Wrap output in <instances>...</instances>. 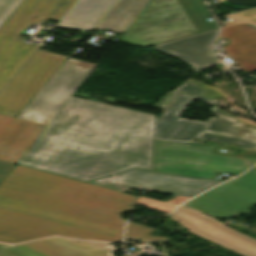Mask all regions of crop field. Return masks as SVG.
I'll use <instances>...</instances> for the list:
<instances>
[{"mask_svg":"<svg viewBox=\"0 0 256 256\" xmlns=\"http://www.w3.org/2000/svg\"><path fill=\"white\" fill-rule=\"evenodd\" d=\"M96 66L69 58L17 118L0 115V159L16 164Z\"/></svg>","mask_w":256,"mask_h":256,"instance_id":"crop-field-3","label":"crop field"},{"mask_svg":"<svg viewBox=\"0 0 256 256\" xmlns=\"http://www.w3.org/2000/svg\"><path fill=\"white\" fill-rule=\"evenodd\" d=\"M76 1L25 0L0 29V35L19 38L20 32L28 29L32 23L43 24L48 19L60 21Z\"/></svg>","mask_w":256,"mask_h":256,"instance_id":"crop-field-13","label":"crop field"},{"mask_svg":"<svg viewBox=\"0 0 256 256\" xmlns=\"http://www.w3.org/2000/svg\"><path fill=\"white\" fill-rule=\"evenodd\" d=\"M218 150L219 149L216 148L214 153H216V154H223V155H229V156L242 157V158H256V152L241 150L239 155H236V154L220 153V152H218Z\"/></svg>","mask_w":256,"mask_h":256,"instance_id":"crop-field-22","label":"crop field"},{"mask_svg":"<svg viewBox=\"0 0 256 256\" xmlns=\"http://www.w3.org/2000/svg\"><path fill=\"white\" fill-rule=\"evenodd\" d=\"M153 230L135 223H128L125 239L168 242L169 238L151 236Z\"/></svg>","mask_w":256,"mask_h":256,"instance_id":"crop-field-19","label":"crop field"},{"mask_svg":"<svg viewBox=\"0 0 256 256\" xmlns=\"http://www.w3.org/2000/svg\"><path fill=\"white\" fill-rule=\"evenodd\" d=\"M36 47L0 36V114L15 117L66 58Z\"/></svg>","mask_w":256,"mask_h":256,"instance_id":"crop-field-5","label":"crop field"},{"mask_svg":"<svg viewBox=\"0 0 256 256\" xmlns=\"http://www.w3.org/2000/svg\"><path fill=\"white\" fill-rule=\"evenodd\" d=\"M193 100L173 90L157 103L163 114L156 121L155 139L188 143L205 139L256 150V122L231 116L217 106L210 111L221 119L209 118L207 123L177 119Z\"/></svg>","mask_w":256,"mask_h":256,"instance_id":"crop-field-4","label":"crop field"},{"mask_svg":"<svg viewBox=\"0 0 256 256\" xmlns=\"http://www.w3.org/2000/svg\"><path fill=\"white\" fill-rule=\"evenodd\" d=\"M175 90L185 93L194 98L203 100L209 104H213L221 97L226 96V94H224L219 89L207 86L197 81H188L187 83L176 88Z\"/></svg>","mask_w":256,"mask_h":256,"instance_id":"crop-field-18","label":"crop field"},{"mask_svg":"<svg viewBox=\"0 0 256 256\" xmlns=\"http://www.w3.org/2000/svg\"><path fill=\"white\" fill-rule=\"evenodd\" d=\"M115 0H81L59 27L89 32Z\"/></svg>","mask_w":256,"mask_h":256,"instance_id":"crop-field-15","label":"crop field"},{"mask_svg":"<svg viewBox=\"0 0 256 256\" xmlns=\"http://www.w3.org/2000/svg\"><path fill=\"white\" fill-rule=\"evenodd\" d=\"M137 197L15 166L0 185V241L59 235L119 241Z\"/></svg>","mask_w":256,"mask_h":256,"instance_id":"crop-field-2","label":"crop field"},{"mask_svg":"<svg viewBox=\"0 0 256 256\" xmlns=\"http://www.w3.org/2000/svg\"><path fill=\"white\" fill-rule=\"evenodd\" d=\"M24 0H0V28Z\"/></svg>","mask_w":256,"mask_h":256,"instance_id":"crop-field-20","label":"crop field"},{"mask_svg":"<svg viewBox=\"0 0 256 256\" xmlns=\"http://www.w3.org/2000/svg\"><path fill=\"white\" fill-rule=\"evenodd\" d=\"M116 185L192 197L221 181L133 168L116 175Z\"/></svg>","mask_w":256,"mask_h":256,"instance_id":"crop-field-9","label":"crop field"},{"mask_svg":"<svg viewBox=\"0 0 256 256\" xmlns=\"http://www.w3.org/2000/svg\"><path fill=\"white\" fill-rule=\"evenodd\" d=\"M112 243L47 238L21 245L0 244V256H113Z\"/></svg>","mask_w":256,"mask_h":256,"instance_id":"crop-field-11","label":"crop field"},{"mask_svg":"<svg viewBox=\"0 0 256 256\" xmlns=\"http://www.w3.org/2000/svg\"><path fill=\"white\" fill-rule=\"evenodd\" d=\"M13 167L12 163L0 161V182Z\"/></svg>","mask_w":256,"mask_h":256,"instance_id":"crop-field-23","label":"crop field"},{"mask_svg":"<svg viewBox=\"0 0 256 256\" xmlns=\"http://www.w3.org/2000/svg\"><path fill=\"white\" fill-rule=\"evenodd\" d=\"M114 178H115V175L105 177V178H101V179H97V180H93V181H89L87 183H91V184H94V185H98V186H101V187H105V188H109V189H113V190H117V191H121V192L126 191V190L121 189V188H119L115 185Z\"/></svg>","mask_w":256,"mask_h":256,"instance_id":"crop-field-21","label":"crop field"},{"mask_svg":"<svg viewBox=\"0 0 256 256\" xmlns=\"http://www.w3.org/2000/svg\"><path fill=\"white\" fill-rule=\"evenodd\" d=\"M218 218H235L256 205V166L184 204Z\"/></svg>","mask_w":256,"mask_h":256,"instance_id":"crop-field-8","label":"crop field"},{"mask_svg":"<svg viewBox=\"0 0 256 256\" xmlns=\"http://www.w3.org/2000/svg\"><path fill=\"white\" fill-rule=\"evenodd\" d=\"M233 24L222 28L219 37L230 40L224 50L246 72L256 70V9L226 17ZM228 55V56H229Z\"/></svg>","mask_w":256,"mask_h":256,"instance_id":"crop-field-12","label":"crop field"},{"mask_svg":"<svg viewBox=\"0 0 256 256\" xmlns=\"http://www.w3.org/2000/svg\"><path fill=\"white\" fill-rule=\"evenodd\" d=\"M198 33L178 0H152L119 41L147 47Z\"/></svg>","mask_w":256,"mask_h":256,"instance_id":"crop-field-7","label":"crop field"},{"mask_svg":"<svg viewBox=\"0 0 256 256\" xmlns=\"http://www.w3.org/2000/svg\"><path fill=\"white\" fill-rule=\"evenodd\" d=\"M215 147L156 140L154 170L215 179L218 172L239 174L256 159L212 154Z\"/></svg>","mask_w":256,"mask_h":256,"instance_id":"crop-field-6","label":"crop field"},{"mask_svg":"<svg viewBox=\"0 0 256 256\" xmlns=\"http://www.w3.org/2000/svg\"><path fill=\"white\" fill-rule=\"evenodd\" d=\"M155 118L72 96L17 164L89 181L152 170Z\"/></svg>","mask_w":256,"mask_h":256,"instance_id":"crop-field-1","label":"crop field"},{"mask_svg":"<svg viewBox=\"0 0 256 256\" xmlns=\"http://www.w3.org/2000/svg\"><path fill=\"white\" fill-rule=\"evenodd\" d=\"M192 22L199 32L216 29L214 21L209 22L206 17H210L202 0H179Z\"/></svg>","mask_w":256,"mask_h":256,"instance_id":"crop-field-17","label":"crop field"},{"mask_svg":"<svg viewBox=\"0 0 256 256\" xmlns=\"http://www.w3.org/2000/svg\"><path fill=\"white\" fill-rule=\"evenodd\" d=\"M171 217L197 235L225 246L243 256H256V240L224 226L207 215L187 207H181Z\"/></svg>","mask_w":256,"mask_h":256,"instance_id":"crop-field-10","label":"crop field"},{"mask_svg":"<svg viewBox=\"0 0 256 256\" xmlns=\"http://www.w3.org/2000/svg\"><path fill=\"white\" fill-rule=\"evenodd\" d=\"M217 34L218 30L202 32L199 35L156 45V48L191 64L196 72H200L219 62L209 48Z\"/></svg>","mask_w":256,"mask_h":256,"instance_id":"crop-field-14","label":"crop field"},{"mask_svg":"<svg viewBox=\"0 0 256 256\" xmlns=\"http://www.w3.org/2000/svg\"><path fill=\"white\" fill-rule=\"evenodd\" d=\"M150 1L151 0H119L94 30L109 29L111 31L125 33Z\"/></svg>","mask_w":256,"mask_h":256,"instance_id":"crop-field-16","label":"crop field"}]
</instances>
